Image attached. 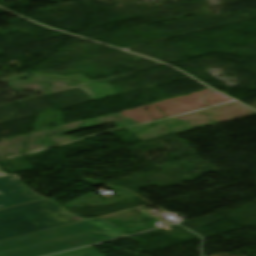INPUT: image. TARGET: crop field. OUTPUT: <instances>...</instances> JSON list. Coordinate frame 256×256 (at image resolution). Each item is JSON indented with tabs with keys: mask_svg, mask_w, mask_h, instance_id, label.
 <instances>
[{
	"mask_svg": "<svg viewBox=\"0 0 256 256\" xmlns=\"http://www.w3.org/2000/svg\"><path fill=\"white\" fill-rule=\"evenodd\" d=\"M54 256H100V253L96 249L89 247V248L71 251V252L58 254Z\"/></svg>",
	"mask_w": 256,
	"mask_h": 256,
	"instance_id": "crop-field-4",
	"label": "crop field"
},
{
	"mask_svg": "<svg viewBox=\"0 0 256 256\" xmlns=\"http://www.w3.org/2000/svg\"><path fill=\"white\" fill-rule=\"evenodd\" d=\"M6 174L0 169V177L5 176Z\"/></svg>",
	"mask_w": 256,
	"mask_h": 256,
	"instance_id": "crop-field-5",
	"label": "crop field"
},
{
	"mask_svg": "<svg viewBox=\"0 0 256 256\" xmlns=\"http://www.w3.org/2000/svg\"><path fill=\"white\" fill-rule=\"evenodd\" d=\"M46 199L0 211V241L83 221Z\"/></svg>",
	"mask_w": 256,
	"mask_h": 256,
	"instance_id": "crop-field-2",
	"label": "crop field"
},
{
	"mask_svg": "<svg viewBox=\"0 0 256 256\" xmlns=\"http://www.w3.org/2000/svg\"><path fill=\"white\" fill-rule=\"evenodd\" d=\"M123 236L107 221L87 220L0 242V256H44Z\"/></svg>",
	"mask_w": 256,
	"mask_h": 256,
	"instance_id": "crop-field-1",
	"label": "crop field"
},
{
	"mask_svg": "<svg viewBox=\"0 0 256 256\" xmlns=\"http://www.w3.org/2000/svg\"><path fill=\"white\" fill-rule=\"evenodd\" d=\"M0 208L44 198L29 191L27 186L21 182L16 175L0 178ZM0 200V201H2Z\"/></svg>",
	"mask_w": 256,
	"mask_h": 256,
	"instance_id": "crop-field-3",
	"label": "crop field"
}]
</instances>
